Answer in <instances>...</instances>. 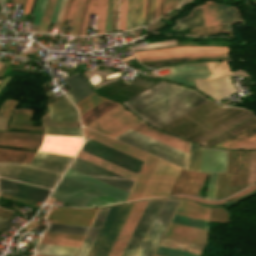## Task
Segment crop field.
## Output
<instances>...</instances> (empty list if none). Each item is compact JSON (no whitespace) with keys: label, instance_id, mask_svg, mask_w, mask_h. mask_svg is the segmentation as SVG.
<instances>
[{"label":"crop field","instance_id":"1","mask_svg":"<svg viewBox=\"0 0 256 256\" xmlns=\"http://www.w3.org/2000/svg\"><path fill=\"white\" fill-rule=\"evenodd\" d=\"M256 121L248 110L207 101L160 129L210 147Z\"/></svg>","mask_w":256,"mask_h":256},{"label":"crop field","instance_id":"2","mask_svg":"<svg viewBox=\"0 0 256 256\" xmlns=\"http://www.w3.org/2000/svg\"><path fill=\"white\" fill-rule=\"evenodd\" d=\"M207 100L194 90L162 82L123 105L159 128Z\"/></svg>","mask_w":256,"mask_h":256},{"label":"crop field","instance_id":"3","mask_svg":"<svg viewBox=\"0 0 256 256\" xmlns=\"http://www.w3.org/2000/svg\"><path fill=\"white\" fill-rule=\"evenodd\" d=\"M66 164L33 157L30 164L0 162V176L52 189Z\"/></svg>","mask_w":256,"mask_h":256},{"label":"crop field","instance_id":"4","mask_svg":"<svg viewBox=\"0 0 256 256\" xmlns=\"http://www.w3.org/2000/svg\"><path fill=\"white\" fill-rule=\"evenodd\" d=\"M51 197L76 207L103 206L119 201L77 184L64 177L60 180Z\"/></svg>","mask_w":256,"mask_h":256},{"label":"crop field","instance_id":"5","mask_svg":"<svg viewBox=\"0 0 256 256\" xmlns=\"http://www.w3.org/2000/svg\"><path fill=\"white\" fill-rule=\"evenodd\" d=\"M115 139L145 151L149 154L157 156L161 159L174 163L178 166L186 168L188 157L187 153L142 135L131 129L127 130Z\"/></svg>","mask_w":256,"mask_h":256},{"label":"crop field","instance_id":"6","mask_svg":"<svg viewBox=\"0 0 256 256\" xmlns=\"http://www.w3.org/2000/svg\"><path fill=\"white\" fill-rule=\"evenodd\" d=\"M132 206H133V204H130L127 206L113 207L110 209V211H109V213H108V215H107V217H106V219H105L87 256H98V254L108 236V233H109V231H110V229H111V227H112V225L122 207V209H121V211H120V213H119V215L109 233V236L99 254V256H108Z\"/></svg>","mask_w":256,"mask_h":256},{"label":"crop field","instance_id":"7","mask_svg":"<svg viewBox=\"0 0 256 256\" xmlns=\"http://www.w3.org/2000/svg\"><path fill=\"white\" fill-rule=\"evenodd\" d=\"M179 170L159 159L140 199L167 196Z\"/></svg>","mask_w":256,"mask_h":256},{"label":"crop field","instance_id":"8","mask_svg":"<svg viewBox=\"0 0 256 256\" xmlns=\"http://www.w3.org/2000/svg\"><path fill=\"white\" fill-rule=\"evenodd\" d=\"M138 121L140 120L118 105L86 127L114 137Z\"/></svg>","mask_w":256,"mask_h":256},{"label":"crop field","instance_id":"9","mask_svg":"<svg viewBox=\"0 0 256 256\" xmlns=\"http://www.w3.org/2000/svg\"><path fill=\"white\" fill-rule=\"evenodd\" d=\"M159 82H161V81L153 79V78H149V77H146L143 75H139L134 78V80L132 81V84L150 88V87L158 84ZM132 84L123 83V82L117 80L109 85L98 88V90L107 95L113 94V95H116V96H119L122 98L130 99V98L134 97L135 95H137L147 89V88L139 87V86L132 85ZM98 90L95 89V91L98 94H100L104 97L118 100L121 103L126 101V99H122V98H119V97H116L113 95L107 96L105 94L100 93Z\"/></svg>","mask_w":256,"mask_h":256},{"label":"crop field","instance_id":"10","mask_svg":"<svg viewBox=\"0 0 256 256\" xmlns=\"http://www.w3.org/2000/svg\"><path fill=\"white\" fill-rule=\"evenodd\" d=\"M179 200H165L138 256H152Z\"/></svg>","mask_w":256,"mask_h":256},{"label":"crop field","instance_id":"11","mask_svg":"<svg viewBox=\"0 0 256 256\" xmlns=\"http://www.w3.org/2000/svg\"><path fill=\"white\" fill-rule=\"evenodd\" d=\"M86 143L82 147V150L89 152L93 155H96L100 158H103L107 161H110L116 165H119L123 168H126L135 173H139L142 161L135 159L131 156L123 154L119 151H116L112 148H109L105 145L97 143L93 140H90L85 137Z\"/></svg>","mask_w":256,"mask_h":256},{"label":"crop field","instance_id":"12","mask_svg":"<svg viewBox=\"0 0 256 256\" xmlns=\"http://www.w3.org/2000/svg\"><path fill=\"white\" fill-rule=\"evenodd\" d=\"M163 201L148 203L122 256H137Z\"/></svg>","mask_w":256,"mask_h":256},{"label":"crop field","instance_id":"13","mask_svg":"<svg viewBox=\"0 0 256 256\" xmlns=\"http://www.w3.org/2000/svg\"><path fill=\"white\" fill-rule=\"evenodd\" d=\"M70 168L75 169L84 174H87L89 176H92L94 178H97V179L104 181L106 183H109L111 185H114L116 187H119L128 192L130 191V189L134 183L133 181H131L129 179H126L122 176H119L115 173L105 170L99 166H96V165L89 163L85 160H82L78 157H76V159L70 165Z\"/></svg>","mask_w":256,"mask_h":256},{"label":"crop field","instance_id":"14","mask_svg":"<svg viewBox=\"0 0 256 256\" xmlns=\"http://www.w3.org/2000/svg\"><path fill=\"white\" fill-rule=\"evenodd\" d=\"M232 75H242L245 77H249V74L247 72L239 70L234 73L227 74L207 81H205V79L193 80L197 89L203 91L211 98L219 100L221 98H224L235 93L236 89L233 87L228 78Z\"/></svg>","mask_w":256,"mask_h":256},{"label":"crop field","instance_id":"15","mask_svg":"<svg viewBox=\"0 0 256 256\" xmlns=\"http://www.w3.org/2000/svg\"><path fill=\"white\" fill-rule=\"evenodd\" d=\"M64 177L71 179L75 182H78L84 186H87L91 189H94L98 192H101L105 195H108L114 199H117L121 202H124L126 200V197L128 195V192L123 191L119 188H116L114 186H111L109 184H106L104 182H101L97 179H94L92 177H89L87 175H84L82 173H79L75 170H72L68 168L66 173L64 174Z\"/></svg>","mask_w":256,"mask_h":256},{"label":"crop field","instance_id":"16","mask_svg":"<svg viewBox=\"0 0 256 256\" xmlns=\"http://www.w3.org/2000/svg\"><path fill=\"white\" fill-rule=\"evenodd\" d=\"M170 68L173 74L162 77L192 87L191 78H207L212 76L207 63L182 64Z\"/></svg>","mask_w":256,"mask_h":256},{"label":"crop field","instance_id":"17","mask_svg":"<svg viewBox=\"0 0 256 256\" xmlns=\"http://www.w3.org/2000/svg\"><path fill=\"white\" fill-rule=\"evenodd\" d=\"M82 143V138L44 135L38 150L74 156Z\"/></svg>","mask_w":256,"mask_h":256},{"label":"crop field","instance_id":"18","mask_svg":"<svg viewBox=\"0 0 256 256\" xmlns=\"http://www.w3.org/2000/svg\"><path fill=\"white\" fill-rule=\"evenodd\" d=\"M51 190L3 180L0 178V192L38 201L44 202Z\"/></svg>","mask_w":256,"mask_h":256},{"label":"crop field","instance_id":"19","mask_svg":"<svg viewBox=\"0 0 256 256\" xmlns=\"http://www.w3.org/2000/svg\"><path fill=\"white\" fill-rule=\"evenodd\" d=\"M96 211L97 209L71 210L58 208V211L51 210L47 219H54L53 223L89 226Z\"/></svg>","mask_w":256,"mask_h":256},{"label":"crop field","instance_id":"20","mask_svg":"<svg viewBox=\"0 0 256 256\" xmlns=\"http://www.w3.org/2000/svg\"><path fill=\"white\" fill-rule=\"evenodd\" d=\"M146 204L147 202H143L134 205L109 256H121Z\"/></svg>","mask_w":256,"mask_h":256},{"label":"crop field","instance_id":"21","mask_svg":"<svg viewBox=\"0 0 256 256\" xmlns=\"http://www.w3.org/2000/svg\"><path fill=\"white\" fill-rule=\"evenodd\" d=\"M227 154V150L203 147L200 171L225 172Z\"/></svg>","mask_w":256,"mask_h":256},{"label":"crop field","instance_id":"22","mask_svg":"<svg viewBox=\"0 0 256 256\" xmlns=\"http://www.w3.org/2000/svg\"><path fill=\"white\" fill-rule=\"evenodd\" d=\"M144 123V122H143ZM142 122L135 125L134 127H132L131 129L135 130V131H138L142 134H145L147 136H150L154 139H157L161 142H164L168 145H171L173 147H176L180 150H183L185 152L188 153V147H189V142L188 141H184V140H181V139H178V138H175V137H172V136H169V135H166L162 132H159L145 124H143Z\"/></svg>","mask_w":256,"mask_h":256},{"label":"crop field","instance_id":"23","mask_svg":"<svg viewBox=\"0 0 256 256\" xmlns=\"http://www.w3.org/2000/svg\"><path fill=\"white\" fill-rule=\"evenodd\" d=\"M108 0H89L80 35H85L90 14H97L96 34L103 33Z\"/></svg>","mask_w":256,"mask_h":256},{"label":"crop field","instance_id":"24","mask_svg":"<svg viewBox=\"0 0 256 256\" xmlns=\"http://www.w3.org/2000/svg\"><path fill=\"white\" fill-rule=\"evenodd\" d=\"M64 81L71 89L65 94L74 104L92 93L87 80L78 73L68 78H64Z\"/></svg>","mask_w":256,"mask_h":256},{"label":"crop field","instance_id":"25","mask_svg":"<svg viewBox=\"0 0 256 256\" xmlns=\"http://www.w3.org/2000/svg\"><path fill=\"white\" fill-rule=\"evenodd\" d=\"M50 119L78 121L76 109L66 97L47 105Z\"/></svg>","mask_w":256,"mask_h":256},{"label":"crop field","instance_id":"26","mask_svg":"<svg viewBox=\"0 0 256 256\" xmlns=\"http://www.w3.org/2000/svg\"><path fill=\"white\" fill-rule=\"evenodd\" d=\"M205 231L170 223L165 235L205 244L208 235Z\"/></svg>","mask_w":256,"mask_h":256},{"label":"crop field","instance_id":"27","mask_svg":"<svg viewBox=\"0 0 256 256\" xmlns=\"http://www.w3.org/2000/svg\"><path fill=\"white\" fill-rule=\"evenodd\" d=\"M86 137L144 161L147 154L83 128Z\"/></svg>","mask_w":256,"mask_h":256},{"label":"crop field","instance_id":"28","mask_svg":"<svg viewBox=\"0 0 256 256\" xmlns=\"http://www.w3.org/2000/svg\"><path fill=\"white\" fill-rule=\"evenodd\" d=\"M157 160V158L149 155L128 200L140 198Z\"/></svg>","mask_w":256,"mask_h":256},{"label":"crop field","instance_id":"29","mask_svg":"<svg viewBox=\"0 0 256 256\" xmlns=\"http://www.w3.org/2000/svg\"><path fill=\"white\" fill-rule=\"evenodd\" d=\"M84 236L45 232L40 242L79 247Z\"/></svg>","mask_w":256,"mask_h":256},{"label":"crop field","instance_id":"30","mask_svg":"<svg viewBox=\"0 0 256 256\" xmlns=\"http://www.w3.org/2000/svg\"><path fill=\"white\" fill-rule=\"evenodd\" d=\"M78 157L135 181L137 174L80 150Z\"/></svg>","mask_w":256,"mask_h":256},{"label":"crop field","instance_id":"31","mask_svg":"<svg viewBox=\"0 0 256 256\" xmlns=\"http://www.w3.org/2000/svg\"><path fill=\"white\" fill-rule=\"evenodd\" d=\"M110 208L100 209L77 256H86Z\"/></svg>","mask_w":256,"mask_h":256},{"label":"crop field","instance_id":"32","mask_svg":"<svg viewBox=\"0 0 256 256\" xmlns=\"http://www.w3.org/2000/svg\"><path fill=\"white\" fill-rule=\"evenodd\" d=\"M161 246L170 247L174 249L184 250L188 252H193L200 254L203 250L204 246L203 244H198L194 242L184 241L180 239L170 238L164 236L161 243Z\"/></svg>","mask_w":256,"mask_h":256},{"label":"crop field","instance_id":"33","mask_svg":"<svg viewBox=\"0 0 256 256\" xmlns=\"http://www.w3.org/2000/svg\"><path fill=\"white\" fill-rule=\"evenodd\" d=\"M175 213L208 221L209 209L181 201Z\"/></svg>","mask_w":256,"mask_h":256},{"label":"crop field","instance_id":"34","mask_svg":"<svg viewBox=\"0 0 256 256\" xmlns=\"http://www.w3.org/2000/svg\"><path fill=\"white\" fill-rule=\"evenodd\" d=\"M78 248L75 247H67V246H59V245H51V244H43L39 243L36 251L40 253L58 255V256H75Z\"/></svg>","mask_w":256,"mask_h":256},{"label":"crop field","instance_id":"35","mask_svg":"<svg viewBox=\"0 0 256 256\" xmlns=\"http://www.w3.org/2000/svg\"><path fill=\"white\" fill-rule=\"evenodd\" d=\"M180 25H184V26L180 27L181 29L188 27V26H203V25H205L201 5L193 8L189 16L177 20L176 26H174L172 28L174 29Z\"/></svg>","mask_w":256,"mask_h":256},{"label":"crop field","instance_id":"36","mask_svg":"<svg viewBox=\"0 0 256 256\" xmlns=\"http://www.w3.org/2000/svg\"><path fill=\"white\" fill-rule=\"evenodd\" d=\"M116 105H118V104H116L112 101H109V100L103 102L102 104L98 105L94 109H92L89 112L85 113L84 115L80 116L82 125H84V126L87 125L88 123L95 120L96 118H98L99 116H101L102 114L107 112L108 110L112 109Z\"/></svg>","mask_w":256,"mask_h":256},{"label":"crop field","instance_id":"37","mask_svg":"<svg viewBox=\"0 0 256 256\" xmlns=\"http://www.w3.org/2000/svg\"><path fill=\"white\" fill-rule=\"evenodd\" d=\"M221 24L242 22L236 7H226L225 4L217 5Z\"/></svg>","mask_w":256,"mask_h":256},{"label":"crop field","instance_id":"38","mask_svg":"<svg viewBox=\"0 0 256 256\" xmlns=\"http://www.w3.org/2000/svg\"><path fill=\"white\" fill-rule=\"evenodd\" d=\"M46 231L85 235L89 227L48 223Z\"/></svg>","mask_w":256,"mask_h":256},{"label":"crop field","instance_id":"39","mask_svg":"<svg viewBox=\"0 0 256 256\" xmlns=\"http://www.w3.org/2000/svg\"><path fill=\"white\" fill-rule=\"evenodd\" d=\"M171 222L207 231L206 221L175 214Z\"/></svg>","mask_w":256,"mask_h":256},{"label":"crop field","instance_id":"40","mask_svg":"<svg viewBox=\"0 0 256 256\" xmlns=\"http://www.w3.org/2000/svg\"><path fill=\"white\" fill-rule=\"evenodd\" d=\"M228 49H182V50H172V51H162V52H153L146 54H138L137 58L173 54V53H182V52H207V53H227Z\"/></svg>","mask_w":256,"mask_h":256},{"label":"crop field","instance_id":"41","mask_svg":"<svg viewBox=\"0 0 256 256\" xmlns=\"http://www.w3.org/2000/svg\"><path fill=\"white\" fill-rule=\"evenodd\" d=\"M105 100L106 99L100 98L93 93L75 105L79 109L80 115H82Z\"/></svg>","mask_w":256,"mask_h":256},{"label":"crop field","instance_id":"42","mask_svg":"<svg viewBox=\"0 0 256 256\" xmlns=\"http://www.w3.org/2000/svg\"><path fill=\"white\" fill-rule=\"evenodd\" d=\"M44 134L82 137L80 128L44 127Z\"/></svg>","mask_w":256,"mask_h":256},{"label":"crop field","instance_id":"43","mask_svg":"<svg viewBox=\"0 0 256 256\" xmlns=\"http://www.w3.org/2000/svg\"><path fill=\"white\" fill-rule=\"evenodd\" d=\"M201 151V146L191 143L188 170L199 171Z\"/></svg>","mask_w":256,"mask_h":256},{"label":"crop field","instance_id":"44","mask_svg":"<svg viewBox=\"0 0 256 256\" xmlns=\"http://www.w3.org/2000/svg\"><path fill=\"white\" fill-rule=\"evenodd\" d=\"M56 1L57 0H48L47 1L38 32H42V33L46 32L48 25H49V20L52 16V13H53V10H54L55 4H56Z\"/></svg>","mask_w":256,"mask_h":256},{"label":"crop field","instance_id":"45","mask_svg":"<svg viewBox=\"0 0 256 256\" xmlns=\"http://www.w3.org/2000/svg\"><path fill=\"white\" fill-rule=\"evenodd\" d=\"M206 25L220 24L216 5H202Z\"/></svg>","mask_w":256,"mask_h":256},{"label":"crop field","instance_id":"46","mask_svg":"<svg viewBox=\"0 0 256 256\" xmlns=\"http://www.w3.org/2000/svg\"><path fill=\"white\" fill-rule=\"evenodd\" d=\"M254 188H256V184H254V185H252V186H250V187H248V188H246V189H244V190H242V191H240V192H238V193H236V194H234V195H232V196H230L226 199L219 200V201H210V200H206V199H202V198H198V197L182 196V195H176L174 197H184V198H188V199H194V200H197V201H201V202H204V203H222V202H228V201H230V200H232V199H234V198H236V197H238V196H240V195H242V194H244V193H246V192H248V191H250Z\"/></svg>","mask_w":256,"mask_h":256},{"label":"crop field","instance_id":"47","mask_svg":"<svg viewBox=\"0 0 256 256\" xmlns=\"http://www.w3.org/2000/svg\"><path fill=\"white\" fill-rule=\"evenodd\" d=\"M182 56H227V54L182 53V54H174V55H166V56L142 58V59H138V60H139V62H143V61H151V60L175 58V57H182Z\"/></svg>","mask_w":256,"mask_h":256},{"label":"crop field","instance_id":"48","mask_svg":"<svg viewBox=\"0 0 256 256\" xmlns=\"http://www.w3.org/2000/svg\"><path fill=\"white\" fill-rule=\"evenodd\" d=\"M34 156L53 160V161H58L66 164H69L70 160L72 159V157L70 156H64V155H58V154H52V153H46V152H40V151H37Z\"/></svg>","mask_w":256,"mask_h":256},{"label":"crop field","instance_id":"49","mask_svg":"<svg viewBox=\"0 0 256 256\" xmlns=\"http://www.w3.org/2000/svg\"><path fill=\"white\" fill-rule=\"evenodd\" d=\"M155 254L161 255V256H199L197 254L174 250V249L165 248L161 246L158 247Z\"/></svg>","mask_w":256,"mask_h":256},{"label":"crop field","instance_id":"50","mask_svg":"<svg viewBox=\"0 0 256 256\" xmlns=\"http://www.w3.org/2000/svg\"><path fill=\"white\" fill-rule=\"evenodd\" d=\"M145 0H136L134 28L141 26L144 18Z\"/></svg>","mask_w":256,"mask_h":256},{"label":"crop field","instance_id":"51","mask_svg":"<svg viewBox=\"0 0 256 256\" xmlns=\"http://www.w3.org/2000/svg\"><path fill=\"white\" fill-rule=\"evenodd\" d=\"M127 0H121L119 13V31L125 30Z\"/></svg>","mask_w":256,"mask_h":256},{"label":"crop field","instance_id":"52","mask_svg":"<svg viewBox=\"0 0 256 256\" xmlns=\"http://www.w3.org/2000/svg\"><path fill=\"white\" fill-rule=\"evenodd\" d=\"M84 4H85V0H81L80 4H79L78 11H77V14H76L74 26H73V29H72V33H71L72 35H76L77 30L79 28V24H80L82 12H83Z\"/></svg>","mask_w":256,"mask_h":256},{"label":"crop field","instance_id":"53","mask_svg":"<svg viewBox=\"0 0 256 256\" xmlns=\"http://www.w3.org/2000/svg\"><path fill=\"white\" fill-rule=\"evenodd\" d=\"M184 59H188V58H187V57H183V58H175V59H167V60L143 62L142 64H143V65H147V64H154V63H161V62H168V61H176V60H184ZM185 61H189V60H185ZM185 61H177V62H169V63H161V64H154V65H147V67L161 66V65L173 64V63L185 62Z\"/></svg>","mask_w":256,"mask_h":256},{"label":"crop field","instance_id":"54","mask_svg":"<svg viewBox=\"0 0 256 256\" xmlns=\"http://www.w3.org/2000/svg\"><path fill=\"white\" fill-rule=\"evenodd\" d=\"M112 6H113V0H109L104 33L110 32L111 18H112Z\"/></svg>","mask_w":256,"mask_h":256},{"label":"crop field","instance_id":"55","mask_svg":"<svg viewBox=\"0 0 256 256\" xmlns=\"http://www.w3.org/2000/svg\"><path fill=\"white\" fill-rule=\"evenodd\" d=\"M217 174H211L207 198L214 199Z\"/></svg>","mask_w":256,"mask_h":256},{"label":"crop field","instance_id":"56","mask_svg":"<svg viewBox=\"0 0 256 256\" xmlns=\"http://www.w3.org/2000/svg\"><path fill=\"white\" fill-rule=\"evenodd\" d=\"M233 149H256V140L241 144V145H237L234 147H231Z\"/></svg>","mask_w":256,"mask_h":256},{"label":"crop field","instance_id":"57","mask_svg":"<svg viewBox=\"0 0 256 256\" xmlns=\"http://www.w3.org/2000/svg\"><path fill=\"white\" fill-rule=\"evenodd\" d=\"M172 44H174L173 40L162 42V43L149 44V46H144V47H135V48H132V50L159 47V46L172 45Z\"/></svg>","mask_w":256,"mask_h":256},{"label":"crop field","instance_id":"58","mask_svg":"<svg viewBox=\"0 0 256 256\" xmlns=\"http://www.w3.org/2000/svg\"><path fill=\"white\" fill-rule=\"evenodd\" d=\"M42 1L43 0H37L36 1V4H35V7H34V10H33V16H35L34 18V21L32 24H36V21H37V18H38V14H39V11H40V8H41V5H42Z\"/></svg>","mask_w":256,"mask_h":256},{"label":"crop field","instance_id":"59","mask_svg":"<svg viewBox=\"0 0 256 256\" xmlns=\"http://www.w3.org/2000/svg\"><path fill=\"white\" fill-rule=\"evenodd\" d=\"M175 1L176 0H164L163 14L175 7Z\"/></svg>","mask_w":256,"mask_h":256},{"label":"crop field","instance_id":"60","mask_svg":"<svg viewBox=\"0 0 256 256\" xmlns=\"http://www.w3.org/2000/svg\"><path fill=\"white\" fill-rule=\"evenodd\" d=\"M155 2H156V0H151V3H150V17H149V22L154 19Z\"/></svg>","mask_w":256,"mask_h":256},{"label":"crop field","instance_id":"61","mask_svg":"<svg viewBox=\"0 0 256 256\" xmlns=\"http://www.w3.org/2000/svg\"><path fill=\"white\" fill-rule=\"evenodd\" d=\"M65 3H66V0H63L62 3H61L59 14H58V17H57V20H56V23H55L57 25H59V23H60V19H61V15H62L64 6H65Z\"/></svg>","mask_w":256,"mask_h":256},{"label":"crop field","instance_id":"62","mask_svg":"<svg viewBox=\"0 0 256 256\" xmlns=\"http://www.w3.org/2000/svg\"><path fill=\"white\" fill-rule=\"evenodd\" d=\"M12 225V222L0 219V230L1 229H6L8 226Z\"/></svg>","mask_w":256,"mask_h":256},{"label":"crop field","instance_id":"63","mask_svg":"<svg viewBox=\"0 0 256 256\" xmlns=\"http://www.w3.org/2000/svg\"><path fill=\"white\" fill-rule=\"evenodd\" d=\"M61 1H62V0H58V1H57L56 7H55V10H54L52 19H51L52 22H54L55 19H56V17H57V14H58V10H59V6H60Z\"/></svg>","mask_w":256,"mask_h":256},{"label":"crop field","instance_id":"64","mask_svg":"<svg viewBox=\"0 0 256 256\" xmlns=\"http://www.w3.org/2000/svg\"><path fill=\"white\" fill-rule=\"evenodd\" d=\"M130 9H131V0H128V11H127L126 30L129 29V23H130Z\"/></svg>","mask_w":256,"mask_h":256},{"label":"crop field","instance_id":"65","mask_svg":"<svg viewBox=\"0 0 256 256\" xmlns=\"http://www.w3.org/2000/svg\"><path fill=\"white\" fill-rule=\"evenodd\" d=\"M32 1H33V0H27V1H26V5H25V8H24L23 16H26V15L28 14L29 9H30V6H31V4H32ZM23 16H22V17H23Z\"/></svg>","mask_w":256,"mask_h":256},{"label":"crop field","instance_id":"66","mask_svg":"<svg viewBox=\"0 0 256 256\" xmlns=\"http://www.w3.org/2000/svg\"><path fill=\"white\" fill-rule=\"evenodd\" d=\"M181 48H228V47H181ZM181 48H172V49H181ZM164 50H171V49H164ZM155 51H161V50H155ZM147 52H153V51H147ZM139 53H145V52H139ZM138 54V53H135Z\"/></svg>","mask_w":256,"mask_h":256},{"label":"crop field","instance_id":"67","mask_svg":"<svg viewBox=\"0 0 256 256\" xmlns=\"http://www.w3.org/2000/svg\"><path fill=\"white\" fill-rule=\"evenodd\" d=\"M134 8H135V0H132L130 29L133 28V22H134Z\"/></svg>","mask_w":256,"mask_h":256},{"label":"crop field","instance_id":"68","mask_svg":"<svg viewBox=\"0 0 256 256\" xmlns=\"http://www.w3.org/2000/svg\"><path fill=\"white\" fill-rule=\"evenodd\" d=\"M75 3H76V0H73L72 5H71L70 10H69V13H68V15H67V17H69V18H71V16H72Z\"/></svg>","mask_w":256,"mask_h":256},{"label":"crop field","instance_id":"69","mask_svg":"<svg viewBox=\"0 0 256 256\" xmlns=\"http://www.w3.org/2000/svg\"><path fill=\"white\" fill-rule=\"evenodd\" d=\"M46 1L47 0H44L43 2V5H42V8H41V11H40V14H39V18H38V21H37V24L36 25H39L40 24V20H41V17H42V13H43V9H44V6L46 4Z\"/></svg>","mask_w":256,"mask_h":256},{"label":"crop field","instance_id":"70","mask_svg":"<svg viewBox=\"0 0 256 256\" xmlns=\"http://www.w3.org/2000/svg\"><path fill=\"white\" fill-rule=\"evenodd\" d=\"M79 1L80 0H77L76 7H75V10H74V13H73V17H72V20H71V23H70V26H69L71 28H72V25H73V21H74V18H75V14H76V11H77V8H78Z\"/></svg>","mask_w":256,"mask_h":256},{"label":"crop field","instance_id":"71","mask_svg":"<svg viewBox=\"0 0 256 256\" xmlns=\"http://www.w3.org/2000/svg\"><path fill=\"white\" fill-rule=\"evenodd\" d=\"M188 1H190V0H177V1H176V7L183 5V4H185L186 2H188Z\"/></svg>","mask_w":256,"mask_h":256},{"label":"crop field","instance_id":"72","mask_svg":"<svg viewBox=\"0 0 256 256\" xmlns=\"http://www.w3.org/2000/svg\"><path fill=\"white\" fill-rule=\"evenodd\" d=\"M68 2H69V0H67L65 9H64V12H63V15H62L61 23H60V26H59V28H58V32H57V33H59V30H60V27H61V24H62V21H63V18H64V14H65V10H66V7H67V5H68Z\"/></svg>","mask_w":256,"mask_h":256},{"label":"crop field","instance_id":"73","mask_svg":"<svg viewBox=\"0 0 256 256\" xmlns=\"http://www.w3.org/2000/svg\"><path fill=\"white\" fill-rule=\"evenodd\" d=\"M158 11H159V0L156 2V13H155V18L158 17Z\"/></svg>","mask_w":256,"mask_h":256},{"label":"crop field","instance_id":"74","mask_svg":"<svg viewBox=\"0 0 256 256\" xmlns=\"http://www.w3.org/2000/svg\"><path fill=\"white\" fill-rule=\"evenodd\" d=\"M14 3H21V4H23L24 0H14Z\"/></svg>","mask_w":256,"mask_h":256},{"label":"crop field","instance_id":"75","mask_svg":"<svg viewBox=\"0 0 256 256\" xmlns=\"http://www.w3.org/2000/svg\"><path fill=\"white\" fill-rule=\"evenodd\" d=\"M35 1H36V0H34V1H33V4H32V6H31V9H30V13H29V15H31V13H32V10H33V7H34V4H35Z\"/></svg>","mask_w":256,"mask_h":256},{"label":"crop field","instance_id":"76","mask_svg":"<svg viewBox=\"0 0 256 256\" xmlns=\"http://www.w3.org/2000/svg\"><path fill=\"white\" fill-rule=\"evenodd\" d=\"M0 1H1V3H2V6H4V1H5V0H0Z\"/></svg>","mask_w":256,"mask_h":256},{"label":"crop field","instance_id":"77","mask_svg":"<svg viewBox=\"0 0 256 256\" xmlns=\"http://www.w3.org/2000/svg\"><path fill=\"white\" fill-rule=\"evenodd\" d=\"M11 3H13V0L11 1Z\"/></svg>","mask_w":256,"mask_h":256},{"label":"crop field","instance_id":"78","mask_svg":"<svg viewBox=\"0 0 256 256\" xmlns=\"http://www.w3.org/2000/svg\"><path fill=\"white\" fill-rule=\"evenodd\" d=\"M36 256V255H35ZM37 256H40V255H37Z\"/></svg>","mask_w":256,"mask_h":256},{"label":"crop field","instance_id":"79","mask_svg":"<svg viewBox=\"0 0 256 256\" xmlns=\"http://www.w3.org/2000/svg\"><path fill=\"white\" fill-rule=\"evenodd\" d=\"M155 256H157V255H155Z\"/></svg>","mask_w":256,"mask_h":256}]
</instances>
